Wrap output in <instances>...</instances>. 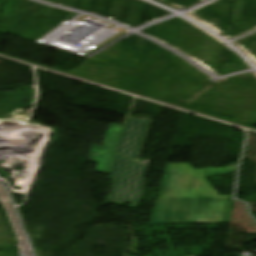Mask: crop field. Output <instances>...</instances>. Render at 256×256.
<instances>
[{
	"label": "crop field",
	"mask_w": 256,
	"mask_h": 256,
	"mask_svg": "<svg viewBox=\"0 0 256 256\" xmlns=\"http://www.w3.org/2000/svg\"><path fill=\"white\" fill-rule=\"evenodd\" d=\"M237 166L195 170L190 164H167L150 224L223 222L227 201L205 177L235 172Z\"/></svg>",
	"instance_id": "crop-field-1"
},
{
	"label": "crop field",
	"mask_w": 256,
	"mask_h": 256,
	"mask_svg": "<svg viewBox=\"0 0 256 256\" xmlns=\"http://www.w3.org/2000/svg\"><path fill=\"white\" fill-rule=\"evenodd\" d=\"M122 127L111 124L103 146L93 145L89 158L92 162L98 163L96 172H110Z\"/></svg>",
	"instance_id": "crop-field-2"
},
{
	"label": "crop field",
	"mask_w": 256,
	"mask_h": 256,
	"mask_svg": "<svg viewBox=\"0 0 256 256\" xmlns=\"http://www.w3.org/2000/svg\"><path fill=\"white\" fill-rule=\"evenodd\" d=\"M232 204H233V201H231L229 204V208H228V212H227V216H226V222H228V220H229Z\"/></svg>",
	"instance_id": "crop-field-3"
}]
</instances>
